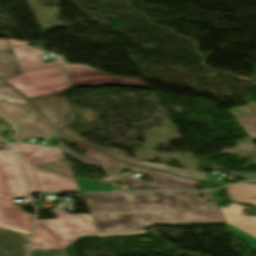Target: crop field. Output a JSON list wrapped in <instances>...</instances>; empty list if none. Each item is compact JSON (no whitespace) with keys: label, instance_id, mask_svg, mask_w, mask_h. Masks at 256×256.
<instances>
[{"label":"crop field","instance_id":"25","mask_svg":"<svg viewBox=\"0 0 256 256\" xmlns=\"http://www.w3.org/2000/svg\"><path fill=\"white\" fill-rule=\"evenodd\" d=\"M4 83L3 81L0 80V84Z\"/></svg>","mask_w":256,"mask_h":256},{"label":"crop field","instance_id":"11","mask_svg":"<svg viewBox=\"0 0 256 256\" xmlns=\"http://www.w3.org/2000/svg\"><path fill=\"white\" fill-rule=\"evenodd\" d=\"M245 209L252 210L233 203H230L229 207H221L229 224L256 237V217L242 214Z\"/></svg>","mask_w":256,"mask_h":256},{"label":"crop field","instance_id":"17","mask_svg":"<svg viewBox=\"0 0 256 256\" xmlns=\"http://www.w3.org/2000/svg\"><path fill=\"white\" fill-rule=\"evenodd\" d=\"M227 229L229 232L240 237L248 245L249 249L256 251V238L252 237L251 235H249V234H247L229 224H227Z\"/></svg>","mask_w":256,"mask_h":256},{"label":"crop field","instance_id":"16","mask_svg":"<svg viewBox=\"0 0 256 256\" xmlns=\"http://www.w3.org/2000/svg\"><path fill=\"white\" fill-rule=\"evenodd\" d=\"M81 191H112L113 188L104 185H98L89 179H76Z\"/></svg>","mask_w":256,"mask_h":256},{"label":"crop field","instance_id":"4","mask_svg":"<svg viewBox=\"0 0 256 256\" xmlns=\"http://www.w3.org/2000/svg\"><path fill=\"white\" fill-rule=\"evenodd\" d=\"M57 135H60L69 141L77 144L87 155L88 158L80 157L76 154H74L73 151H70L64 147L61 146V149L63 153L70 155L83 163L87 165H95L99 164L101 165L104 170L106 171L108 176H116L119 175L121 168H126L130 170L140 171L143 173H147L148 175L152 176L154 178L153 184H147L142 181H136L134 179H126L121 177L115 178V183H130V189L129 191H146V190H195L198 181L194 180H188V179H182L178 178L176 176H173L171 174L147 170L131 165H127L123 162L117 161L113 158H110L88 146H85L61 133L56 131Z\"/></svg>","mask_w":256,"mask_h":256},{"label":"crop field","instance_id":"5","mask_svg":"<svg viewBox=\"0 0 256 256\" xmlns=\"http://www.w3.org/2000/svg\"><path fill=\"white\" fill-rule=\"evenodd\" d=\"M23 158L32 192L80 191L75 180L45 174L35 169V164L52 163L62 158L60 148H48L19 143L13 145Z\"/></svg>","mask_w":256,"mask_h":256},{"label":"crop field","instance_id":"23","mask_svg":"<svg viewBox=\"0 0 256 256\" xmlns=\"http://www.w3.org/2000/svg\"><path fill=\"white\" fill-rule=\"evenodd\" d=\"M218 201V205H221L224 203V201H222L221 199L217 200Z\"/></svg>","mask_w":256,"mask_h":256},{"label":"crop field","instance_id":"20","mask_svg":"<svg viewBox=\"0 0 256 256\" xmlns=\"http://www.w3.org/2000/svg\"><path fill=\"white\" fill-rule=\"evenodd\" d=\"M55 58H56L57 62H58L60 65L66 64V63L62 60V59H63L62 56L58 55V56H55Z\"/></svg>","mask_w":256,"mask_h":256},{"label":"crop field","instance_id":"7","mask_svg":"<svg viewBox=\"0 0 256 256\" xmlns=\"http://www.w3.org/2000/svg\"><path fill=\"white\" fill-rule=\"evenodd\" d=\"M28 98L64 91L70 88L59 66L26 71L6 80Z\"/></svg>","mask_w":256,"mask_h":256},{"label":"crop field","instance_id":"14","mask_svg":"<svg viewBox=\"0 0 256 256\" xmlns=\"http://www.w3.org/2000/svg\"><path fill=\"white\" fill-rule=\"evenodd\" d=\"M21 72L16 59L12 57L11 53L0 51V78L6 80Z\"/></svg>","mask_w":256,"mask_h":256},{"label":"crop field","instance_id":"18","mask_svg":"<svg viewBox=\"0 0 256 256\" xmlns=\"http://www.w3.org/2000/svg\"><path fill=\"white\" fill-rule=\"evenodd\" d=\"M8 41H9L11 47L31 43V42H28V41H16V40H13V39H8Z\"/></svg>","mask_w":256,"mask_h":256},{"label":"crop field","instance_id":"12","mask_svg":"<svg viewBox=\"0 0 256 256\" xmlns=\"http://www.w3.org/2000/svg\"><path fill=\"white\" fill-rule=\"evenodd\" d=\"M18 63L23 71L57 66L55 62L45 64L39 55L45 54L41 49L31 48L28 45L12 48Z\"/></svg>","mask_w":256,"mask_h":256},{"label":"crop field","instance_id":"15","mask_svg":"<svg viewBox=\"0 0 256 256\" xmlns=\"http://www.w3.org/2000/svg\"><path fill=\"white\" fill-rule=\"evenodd\" d=\"M252 107L256 110V105ZM236 118L249 136L256 139V112L254 115L239 116Z\"/></svg>","mask_w":256,"mask_h":256},{"label":"crop field","instance_id":"3","mask_svg":"<svg viewBox=\"0 0 256 256\" xmlns=\"http://www.w3.org/2000/svg\"><path fill=\"white\" fill-rule=\"evenodd\" d=\"M16 197H28L18 158L13 150L0 151V227L30 235L34 216L14 206Z\"/></svg>","mask_w":256,"mask_h":256},{"label":"crop field","instance_id":"19","mask_svg":"<svg viewBox=\"0 0 256 256\" xmlns=\"http://www.w3.org/2000/svg\"><path fill=\"white\" fill-rule=\"evenodd\" d=\"M10 46L6 39H0V50L9 51Z\"/></svg>","mask_w":256,"mask_h":256},{"label":"crop field","instance_id":"6","mask_svg":"<svg viewBox=\"0 0 256 256\" xmlns=\"http://www.w3.org/2000/svg\"><path fill=\"white\" fill-rule=\"evenodd\" d=\"M0 93L13 99L25 101L37 111L34 115H27L24 111L0 101V116L15 127L14 140L24 141L31 136L42 140H49L54 137L51 125L41 116L36 106L6 83L0 86Z\"/></svg>","mask_w":256,"mask_h":256},{"label":"crop field","instance_id":"9","mask_svg":"<svg viewBox=\"0 0 256 256\" xmlns=\"http://www.w3.org/2000/svg\"><path fill=\"white\" fill-rule=\"evenodd\" d=\"M60 130H62L63 132L67 133L68 135L76 138L79 141H82L110 156H113L115 158L118 159H122L128 163H132V164H136V165H141V166H146V167H150V168H155V169H159V170H164V171H168V172H172L175 174H178L180 176H184V177H189V178H194V179H199V180H207L205 174H200V173H195V172H190V171H185V170H181V169H176V168H171V167H166V166H161V165H156V164H152V163H148V162H144V161H134L132 159H129L127 157H125L124 155L115 152L113 150L110 149H106L103 147H99L96 146L94 144H91L87 141H85L84 139H82L81 137H79L78 135H76L75 133H73L70 129H68L66 126L60 128Z\"/></svg>","mask_w":256,"mask_h":256},{"label":"crop field","instance_id":"10","mask_svg":"<svg viewBox=\"0 0 256 256\" xmlns=\"http://www.w3.org/2000/svg\"><path fill=\"white\" fill-rule=\"evenodd\" d=\"M63 92L31 98L40 106L43 114L53 123L54 127L66 122V110L61 103Z\"/></svg>","mask_w":256,"mask_h":256},{"label":"crop field","instance_id":"22","mask_svg":"<svg viewBox=\"0 0 256 256\" xmlns=\"http://www.w3.org/2000/svg\"><path fill=\"white\" fill-rule=\"evenodd\" d=\"M224 190L221 188L213 192L214 195H220Z\"/></svg>","mask_w":256,"mask_h":256},{"label":"crop field","instance_id":"2","mask_svg":"<svg viewBox=\"0 0 256 256\" xmlns=\"http://www.w3.org/2000/svg\"><path fill=\"white\" fill-rule=\"evenodd\" d=\"M53 210L58 219L37 221L31 249H62L83 235L146 233V230L99 233L90 215H71L65 210Z\"/></svg>","mask_w":256,"mask_h":256},{"label":"crop field","instance_id":"24","mask_svg":"<svg viewBox=\"0 0 256 256\" xmlns=\"http://www.w3.org/2000/svg\"><path fill=\"white\" fill-rule=\"evenodd\" d=\"M0 97H2V98H4V99L12 100V99L7 98V97H5V96H3V95H0Z\"/></svg>","mask_w":256,"mask_h":256},{"label":"crop field","instance_id":"1","mask_svg":"<svg viewBox=\"0 0 256 256\" xmlns=\"http://www.w3.org/2000/svg\"><path fill=\"white\" fill-rule=\"evenodd\" d=\"M195 195H203L206 199ZM83 196L100 232L146 229L148 225L179 222L225 224L211 191ZM205 200L213 203L205 204ZM134 220L140 222L134 223Z\"/></svg>","mask_w":256,"mask_h":256},{"label":"crop field","instance_id":"13","mask_svg":"<svg viewBox=\"0 0 256 256\" xmlns=\"http://www.w3.org/2000/svg\"><path fill=\"white\" fill-rule=\"evenodd\" d=\"M231 200L256 205V185L235 184L227 186Z\"/></svg>","mask_w":256,"mask_h":256},{"label":"crop field","instance_id":"8","mask_svg":"<svg viewBox=\"0 0 256 256\" xmlns=\"http://www.w3.org/2000/svg\"><path fill=\"white\" fill-rule=\"evenodd\" d=\"M73 87L126 86L149 89L144 81L135 78H119L94 70L90 66L71 64L62 66Z\"/></svg>","mask_w":256,"mask_h":256},{"label":"crop field","instance_id":"21","mask_svg":"<svg viewBox=\"0 0 256 256\" xmlns=\"http://www.w3.org/2000/svg\"><path fill=\"white\" fill-rule=\"evenodd\" d=\"M0 148L7 149V148H10V147L6 143H4L3 141L0 140Z\"/></svg>","mask_w":256,"mask_h":256}]
</instances>
